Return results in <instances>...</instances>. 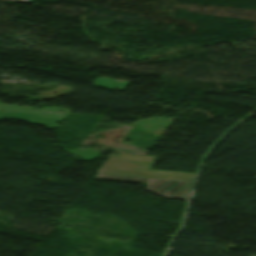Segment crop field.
<instances>
[{
  "label": "crop field",
  "instance_id": "8a807250",
  "mask_svg": "<svg viewBox=\"0 0 256 256\" xmlns=\"http://www.w3.org/2000/svg\"><path fill=\"white\" fill-rule=\"evenodd\" d=\"M157 157L113 154L98 173L188 180L194 181L197 174L152 170Z\"/></svg>",
  "mask_w": 256,
  "mask_h": 256
},
{
  "label": "crop field",
  "instance_id": "ac0d7876",
  "mask_svg": "<svg viewBox=\"0 0 256 256\" xmlns=\"http://www.w3.org/2000/svg\"><path fill=\"white\" fill-rule=\"evenodd\" d=\"M94 178L136 183H149L147 190L161 196L189 201L194 183L96 174Z\"/></svg>",
  "mask_w": 256,
  "mask_h": 256
}]
</instances>
